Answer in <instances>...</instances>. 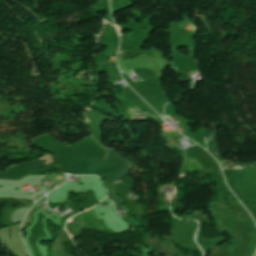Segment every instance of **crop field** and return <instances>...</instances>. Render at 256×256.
Here are the masks:
<instances>
[{
	"label": "crop field",
	"mask_w": 256,
	"mask_h": 256,
	"mask_svg": "<svg viewBox=\"0 0 256 256\" xmlns=\"http://www.w3.org/2000/svg\"><path fill=\"white\" fill-rule=\"evenodd\" d=\"M106 150H107V156L105 160L116 163L120 168V171L116 175H114L112 178H110V180L116 182L126 175L129 165L123 158H121L113 150H108V149Z\"/></svg>",
	"instance_id": "obj_1"
}]
</instances>
